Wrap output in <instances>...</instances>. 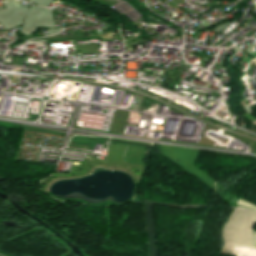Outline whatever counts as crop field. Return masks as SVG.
<instances>
[{"instance_id":"1","label":"crop field","mask_w":256,"mask_h":256,"mask_svg":"<svg viewBox=\"0 0 256 256\" xmlns=\"http://www.w3.org/2000/svg\"><path fill=\"white\" fill-rule=\"evenodd\" d=\"M255 215L254 211L235 209L224 227L225 244L250 247Z\"/></svg>"},{"instance_id":"2","label":"crop field","mask_w":256,"mask_h":256,"mask_svg":"<svg viewBox=\"0 0 256 256\" xmlns=\"http://www.w3.org/2000/svg\"><path fill=\"white\" fill-rule=\"evenodd\" d=\"M200 150L161 145V154L168 157L171 161L177 164L181 169L187 171L189 174L193 175L198 181L203 183L208 188L215 190L214 180L208 177L206 174L200 172L196 167L192 165L195 158L199 154ZM180 160L181 162L176 161Z\"/></svg>"},{"instance_id":"3","label":"crop field","mask_w":256,"mask_h":256,"mask_svg":"<svg viewBox=\"0 0 256 256\" xmlns=\"http://www.w3.org/2000/svg\"><path fill=\"white\" fill-rule=\"evenodd\" d=\"M144 202V210H145V220H146V230L148 234L149 240V253L150 256H158L156 250V235L153 225V218H152V203L164 206H173L168 204H160L149 200H142ZM175 207H207V205H182V206H175Z\"/></svg>"},{"instance_id":"4","label":"crop field","mask_w":256,"mask_h":256,"mask_svg":"<svg viewBox=\"0 0 256 256\" xmlns=\"http://www.w3.org/2000/svg\"><path fill=\"white\" fill-rule=\"evenodd\" d=\"M237 204L240 205V206L246 207V208H252V209H255V210H256V206H252V205H250V204H248V203H246V202H243V201H241V200H239V201L237 202Z\"/></svg>"},{"instance_id":"5","label":"crop field","mask_w":256,"mask_h":256,"mask_svg":"<svg viewBox=\"0 0 256 256\" xmlns=\"http://www.w3.org/2000/svg\"><path fill=\"white\" fill-rule=\"evenodd\" d=\"M252 247L256 248V232H254V237H253V245Z\"/></svg>"},{"instance_id":"6","label":"crop field","mask_w":256,"mask_h":256,"mask_svg":"<svg viewBox=\"0 0 256 256\" xmlns=\"http://www.w3.org/2000/svg\"><path fill=\"white\" fill-rule=\"evenodd\" d=\"M5 1H7V0H5Z\"/></svg>"}]
</instances>
